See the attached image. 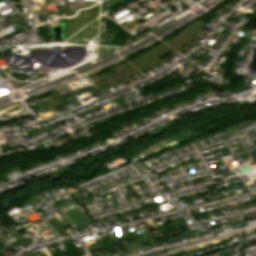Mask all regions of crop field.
Here are the masks:
<instances>
[{"instance_id":"crop-field-1","label":"crop field","mask_w":256,"mask_h":256,"mask_svg":"<svg viewBox=\"0 0 256 256\" xmlns=\"http://www.w3.org/2000/svg\"><path fill=\"white\" fill-rule=\"evenodd\" d=\"M173 51L168 46L164 45L163 43L152 48L148 52H146L144 55L130 61L132 64H134L140 71H145L156 64L163 61L160 57L168 54L169 52Z\"/></svg>"},{"instance_id":"crop-field-2","label":"crop field","mask_w":256,"mask_h":256,"mask_svg":"<svg viewBox=\"0 0 256 256\" xmlns=\"http://www.w3.org/2000/svg\"><path fill=\"white\" fill-rule=\"evenodd\" d=\"M205 25L206 23L198 20L190 28L184 30L179 35H177L171 42L166 43V45L172 47L176 51L180 50L182 47L195 39Z\"/></svg>"},{"instance_id":"crop-field-3","label":"crop field","mask_w":256,"mask_h":256,"mask_svg":"<svg viewBox=\"0 0 256 256\" xmlns=\"http://www.w3.org/2000/svg\"><path fill=\"white\" fill-rule=\"evenodd\" d=\"M41 107L40 109H36L35 112L36 114L38 113H42V112H45V111H48L49 108H52L54 106H59L61 105L58 100L55 99V97L51 94L47 97H44V98H41L38 100Z\"/></svg>"},{"instance_id":"crop-field-4","label":"crop field","mask_w":256,"mask_h":256,"mask_svg":"<svg viewBox=\"0 0 256 256\" xmlns=\"http://www.w3.org/2000/svg\"><path fill=\"white\" fill-rule=\"evenodd\" d=\"M50 223L54 227V229L59 233L61 237H68V234L65 232L64 229L55 221V219L50 220Z\"/></svg>"},{"instance_id":"crop-field-5","label":"crop field","mask_w":256,"mask_h":256,"mask_svg":"<svg viewBox=\"0 0 256 256\" xmlns=\"http://www.w3.org/2000/svg\"><path fill=\"white\" fill-rule=\"evenodd\" d=\"M138 74H140V72H138L137 70H135V71H133V72H131V73H129V74H127V75H125V76H123V77L117 79V80H114V81H112V82H110V83H108V84H106V85H103V86L99 87V89H101V88H103V87H106V86H108V85H111V84H113V83H115V82H118V81H120V80H123V79H125V78H127V77H132V76L138 75Z\"/></svg>"},{"instance_id":"crop-field-6","label":"crop field","mask_w":256,"mask_h":256,"mask_svg":"<svg viewBox=\"0 0 256 256\" xmlns=\"http://www.w3.org/2000/svg\"><path fill=\"white\" fill-rule=\"evenodd\" d=\"M43 96H47V93H43L40 96L36 97L35 99H38V98L43 97Z\"/></svg>"}]
</instances>
